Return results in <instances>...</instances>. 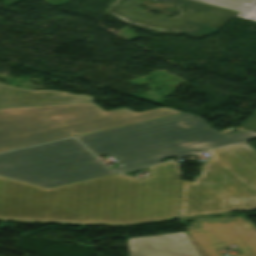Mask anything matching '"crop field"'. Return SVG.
Wrapping results in <instances>:
<instances>
[{
  "instance_id": "5",
  "label": "crop field",
  "mask_w": 256,
  "mask_h": 256,
  "mask_svg": "<svg viewBox=\"0 0 256 256\" xmlns=\"http://www.w3.org/2000/svg\"><path fill=\"white\" fill-rule=\"evenodd\" d=\"M115 174L75 139L0 154V175L44 188Z\"/></svg>"
},
{
  "instance_id": "3",
  "label": "crop field",
  "mask_w": 256,
  "mask_h": 256,
  "mask_svg": "<svg viewBox=\"0 0 256 256\" xmlns=\"http://www.w3.org/2000/svg\"><path fill=\"white\" fill-rule=\"evenodd\" d=\"M96 106L87 102L0 109V152L181 113L165 107L104 112Z\"/></svg>"
},
{
  "instance_id": "13",
  "label": "crop field",
  "mask_w": 256,
  "mask_h": 256,
  "mask_svg": "<svg viewBox=\"0 0 256 256\" xmlns=\"http://www.w3.org/2000/svg\"><path fill=\"white\" fill-rule=\"evenodd\" d=\"M186 234L188 235L189 239L191 240V242L193 243V245L195 246V248L197 249V251L199 252V254L201 256H208L203 250L202 248L197 244V242L186 232Z\"/></svg>"
},
{
  "instance_id": "6",
  "label": "crop field",
  "mask_w": 256,
  "mask_h": 256,
  "mask_svg": "<svg viewBox=\"0 0 256 256\" xmlns=\"http://www.w3.org/2000/svg\"><path fill=\"white\" fill-rule=\"evenodd\" d=\"M0 220L102 225L100 217L73 198L0 177Z\"/></svg>"
},
{
  "instance_id": "8",
  "label": "crop field",
  "mask_w": 256,
  "mask_h": 256,
  "mask_svg": "<svg viewBox=\"0 0 256 256\" xmlns=\"http://www.w3.org/2000/svg\"><path fill=\"white\" fill-rule=\"evenodd\" d=\"M187 229L209 256H221L215 248L233 243L243 253L237 256H256V225L250 220L198 218Z\"/></svg>"
},
{
  "instance_id": "2",
  "label": "crop field",
  "mask_w": 256,
  "mask_h": 256,
  "mask_svg": "<svg viewBox=\"0 0 256 256\" xmlns=\"http://www.w3.org/2000/svg\"><path fill=\"white\" fill-rule=\"evenodd\" d=\"M152 175L138 181L115 174L50 188L69 195L105 220L128 226L177 218L181 171L170 161L149 167Z\"/></svg>"
},
{
  "instance_id": "12",
  "label": "crop field",
  "mask_w": 256,
  "mask_h": 256,
  "mask_svg": "<svg viewBox=\"0 0 256 256\" xmlns=\"http://www.w3.org/2000/svg\"><path fill=\"white\" fill-rule=\"evenodd\" d=\"M242 129L256 132V113L240 126Z\"/></svg>"
},
{
  "instance_id": "11",
  "label": "crop field",
  "mask_w": 256,
  "mask_h": 256,
  "mask_svg": "<svg viewBox=\"0 0 256 256\" xmlns=\"http://www.w3.org/2000/svg\"><path fill=\"white\" fill-rule=\"evenodd\" d=\"M239 12L236 17L256 21V0H195Z\"/></svg>"
},
{
  "instance_id": "1",
  "label": "crop field",
  "mask_w": 256,
  "mask_h": 256,
  "mask_svg": "<svg viewBox=\"0 0 256 256\" xmlns=\"http://www.w3.org/2000/svg\"><path fill=\"white\" fill-rule=\"evenodd\" d=\"M255 137L249 131L227 135L199 116L181 113L77 138L93 152L119 157L124 164L112 170L125 171Z\"/></svg>"
},
{
  "instance_id": "9",
  "label": "crop field",
  "mask_w": 256,
  "mask_h": 256,
  "mask_svg": "<svg viewBox=\"0 0 256 256\" xmlns=\"http://www.w3.org/2000/svg\"><path fill=\"white\" fill-rule=\"evenodd\" d=\"M129 256H200L185 232L127 239Z\"/></svg>"
},
{
  "instance_id": "4",
  "label": "crop field",
  "mask_w": 256,
  "mask_h": 256,
  "mask_svg": "<svg viewBox=\"0 0 256 256\" xmlns=\"http://www.w3.org/2000/svg\"><path fill=\"white\" fill-rule=\"evenodd\" d=\"M208 153L200 176L182 180L178 218L256 209V150L244 142Z\"/></svg>"
},
{
  "instance_id": "7",
  "label": "crop field",
  "mask_w": 256,
  "mask_h": 256,
  "mask_svg": "<svg viewBox=\"0 0 256 256\" xmlns=\"http://www.w3.org/2000/svg\"><path fill=\"white\" fill-rule=\"evenodd\" d=\"M179 4L181 15L176 18L156 17L135 6L140 0H116L107 13L132 26L142 27L154 33L186 34L201 38L219 31L237 12L202 4L191 0H161ZM195 29L187 30L188 26Z\"/></svg>"
},
{
  "instance_id": "10",
  "label": "crop field",
  "mask_w": 256,
  "mask_h": 256,
  "mask_svg": "<svg viewBox=\"0 0 256 256\" xmlns=\"http://www.w3.org/2000/svg\"><path fill=\"white\" fill-rule=\"evenodd\" d=\"M93 101L92 97L57 91H27L0 84V108Z\"/></svg>"
}]
</instances>
